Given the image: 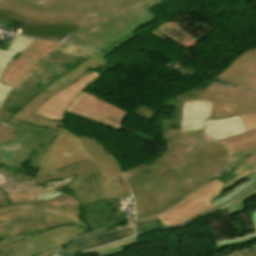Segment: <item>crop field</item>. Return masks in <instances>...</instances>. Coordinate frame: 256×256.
<instances>
[{
    "label": "crop field",
    "mask_w": 256,
    "mask_h": 256,
    "mask_svg": "<svg viewBox=\"0 0 256 256\" xmlns=\"http://www.w3.org/2000/svg\"><path fill=\"white\" fill-rule=\"evenodd\" d=\"M79 139L93 160L36 176L38 181H50L77 175L67 188L77 197L64 193L52 200L35 201V193L3 195L0 188V238L61 224H76L95 231L126 222L117 205L131 193L120 167L95 140Z\"/></svg>",
    "instance_id": "crop-field-1"
},
{
    "label": "crop field",
    "mask_w": 256,
    "mask_h": 256,
    "mask_svg": "<svg viewBox=\"0 0 256 256\" xmlns=\"http://www.w3.org/2000/svg\"><path fill=\"white\" fill-rule=\"evenodd\" d=\"M163 0H147L142 4L104 21L92 30L62 24L40 22L34 19L0 11V17L25 23L20 35L76 44L85 47H99L103 54L110 46L134 33L139 27L157 19L150 11Z\"/></svg>",
    "instance_id": "crop-field-2"
},
{
    "label": "crop field",
    "mask_w": 256,
    "mask_h": 256,
    "mask_svg": "<svg viewBox=\"0 0 256 256\" xmlns=\"http://www.w3.org/2000/svg\"><path fill=\"white\" fill-rule=\"evenodd\" d=\"M145 0H2L0 10L40 21L93 29L105 19Z\"/></svg>",
    "instance_id": "crop-field-3"
},
{
    "label": "crop field",
    "mask_w": 256,
    "mask_h": 256,
    "mask_svg": "<svg viewBox=\"0 0 256 256\" xmlns=\"http://www.w3.org/2000/svg\"><path fill=\"white\" fill-rule=\"evenodd\" d=\"M97 48H79L61 44L49 56L31 69L7 96L0 109V142L10 140L15 129L6 122L24 105L60 76L93 56ZM37 75L36 77L34 75Z\"/></svg>",
    "instance_id": "crop-field-4"
},
{
    "label": "crop field",
    "mask_w": 256,
    "mask_h": 256,
    "mask_svg": "<svg viewBox=\"0 0 256 256\" xmlns=\"http://www.w3.org/2000/svg\"><path fill=\"white\" fill-rule=\"evenodd\" d=\"M124 175L134 194L137 219L165 211L200 185L196 181L189 185L176 172L154 163H144Z\"/></svg>",
    "instance_id": "crop-field-5"
},
{
    "label": "crop field",
    "mask_w": 256,
    "mask_h": 256,
    "mask_svg": "<svg viewBox=\"0 0 256 256\" xmlns=\"http://www.w3.org/2000/svg\"><path fill=\"white\" fill-rule=\"evenodd\" d=\"M166 104L183 109L180 137H187L190 149L246 132L239 116L209 119L212 104L204 100L201 88L177 95Z\"/></svg>",
    "instance_id": "crop-field-6"
},
{
    "label": "crop field",
    "mask_w": 256,
    "mask_h": 256,
    "mask_svg": "<svg viewBox=\"0 0 256 256\" xmlns=\"http://www.w3.org/2000/svg\"><path fill=\"white\" fill-rule=\"evenodd\" d=\"M163 136L168 150L155 163L176 171L189 184L204 182L233 161L217 142L188 151L190 144L186 137L179 138V130L163 129Z\"/></svg>",
    "instance_id": "crop-field-7"
},
{
    "label": "crop field",
    "mask_w": 256,
    "mask_h": 256,
    "mask_svg": "<svg viewBox=\"0 0 256 256\" xmlns=\"http://www.w3.org/2000/svg\"><path fill=\"white\" fill-rule=\"evenodd\" d=\"M7 123L12 128H17V130L11 141L0 143V164L4 163L7 167L23 170L21 166H24L23 163L26 161L36 171L37 165L40 163L52 140L62 132L17 121L12 118Z\"/></svg>",
    "instance_id": "crop-field-8"
},
{
    "label": "crop field",
    "mask_w": 256,
    "mask_h": 256,
    "mask_svg": "<svg viewBox=\"0 0 256 256\" xmlns=\"http://www.w3.org/2000/svg\"><path fill=\"white\" fill-rule=\"evenodd\" d=\"M222 186L223 183L213 180L194 190L157 217L165 226H174L187 222L205 211L217 208L211 200L226 193ZM189 198L191 200H188Z\"/></svg>",
    "instance_id": "crop-field-9"
},
{
    "label": "crop field",
    "mask_w": 256,
    "mask_h": 256,
    "mask_svg": "<svg viewBox=\"0 0 256 256\" xmlns=\"http://www.w3.org/2000/svg\"><path fill=\"white\" fill-rule=\"evenodd\" d=\"M202 90L205 99L213 103L210 118L256 113V91L213 84Z\"/></svg>",
    "instance_id": "crop-field-10"
},
{
    "label": "crop field",
    "mask_w": 256,
    "mask_h": 256,
    "mask_svg": "<svg viewBox=\"0 0 256 256\" xmlns=\"http://www.w3.org/2000/svg\"><path fill=\"white\" fill-rule=\"evenodd\" d=\"M88 232L92 231L76 225L60 226L41 232L44 236L26 239L15 244L8 238L0 239V256H34L52 246L58 250L77 236Z\"/></svg>",
    "instance_id": "crop-field-11"
},
{
    "label": "crop field",
    "mask_w": 256,
    "mask_h": 256,
    "mask_svg": "<svg viewBox=\"0 0 256 256\" xmlns=\"http://www.w3.org/2000/svg\"><path fill=\"white\" fill-rule=\"evenodd\" d=\"M90 159L79 139L65 131L53 140L35 174L43 175Z\"/></svg>",
    "instance_id": "crop-field-12"
},
{
    "label": "crop field",
    "mask_w": 256,
    "mask_h": 256,
    "mask_svg": "<svg viewBox=\"0 0 256 256\" xmlns=\"http://www.w3.org/2000/svg\"><path fill=\"white\" fill-rule=\"evenodd\" d=\"M0 174L6 177L7 182L2 187L5 192H36V200H47L59 194L67 192L64 186H68L75 176L51 182H37L35 175L18 169H0Z\"/></svg>",
    "instance_id": "crop-field-13"
},
{
    "label": "crop field",
    "mask_w": 256,
    "mask_h": 256,
    "mask_svg": "<svg viewBox=\"0 0 256 256\" xmlns=\"http://www.w3.org/2000/svg\"><path fill=\"white\" fill-rule=\"evenodd\" d=\"M67 113L120 130L128 112L83 92Z\"/></svg>",
    "instance_id": "crop-field-14"
},
{
    "label": "crop field",
    "mask_w": 256,
    "mask_h": 256,
    "mask_svg": "<svg viewBox=\"0 0 256 256\" xmlns=\"http://www.w3.org/2000/svg\"><path fill=\"white\" fill-rule=\"evenodd\" d=\"M59 43L37 40L24 49L5 70L1 82L13 86L40 60L47 57L54 49L59 47Z\"/></svg>",
    "instance_id": "crop-field-15"
},
{
    "label": "crop field",
    "mask_w": 256,
    "mask_h": 256,
    "mask_svg": "<svg viewBox=\"0 0 256 256\" xmlns=\"http://www.w3.org/2000/svg\"><path fill=\"white\" fill-rule=\"evenodd\" d=\"M214 79L256 90V48L237 55Z\"/></svg>",
    "instance_id": "crop-field-16"
},
{
    "label": "crop field",
    "mask_w": 256,
    "mask_h": 256,
    "mask_svg": "<svg viewBox=\"0 0 256 256\" xmlns=\"http://www.w3.org/2000/svg\"><path fill=\"white\" fill-rule=\"evenodd\" d=\"M99 76L100 75H98L96 72H93L83 77L76 83L46 100L45 103L35 112V114L62 122L63 114L70 102Z\"/></svg>",
    "instance_id": "crop-field-17"
},
{
    "label": "crop field",
    "mask_w": 256,
    "mask_h": 256,
    "mask_svg": "<svg viewBox=\"0 0 256 256\" xmlns=\"http://www.w3.org/2000/svg\"><path fill=\"white\" fill-rule=\"evenodd\" d=\"M92 71L93 70L83 74L81 77L87 75L88 73H90ZM81 77H78L74 81L66 84L65 86L60 87L59 89H57V90H55V91H53L49 94L46 93L45 91L42 92L41 94L34 97L31 101H29L25 105V107L21 111L17 112L12 118L22 120V121H25V122H29V123H33V124H36V125L44 126V127L50 128V129H56V130L63 131L61 122L54 121V120H51V119H48V118H45V117L36 116V115H33V114L37 110V108L39 106H41L47 98H49L53 94L57 93L59 90H63L67 86L76 82Z\"/></svg>",
    "instance_id": "crop-field-18"
},
{
    "label": "crop field",
    "mask_w": 256,
    "mask_h": 256,
    "mask_svg": "<svg viewBox=\"0 0 256 256\" xmlns=\"http://www.w3.org/2000/svg\"><path fill=\"white\" fill-rule=\"evenodd\" d=\"M133 234H135V232L133 231V228L124 229V230L95 232V233L87 234L66 245L56 255L62 254V253L80 251V250L89 248L91 246H97L107 241L114 240V239L128 236V235H133Z\"/></svg>",
    "instance_id": "crop-field-19"
},
{
    "label": "crop field",
    "mask_w": 256,
    "mask_h": 256,
    "mask_svg": "<svg viewBox=\"0 0 256 256\" xmlns=\"http://www.w3.org/2000/svg\"><path fill=\"white\" fill-rule=\"evenodd\" d=\"M107 64H110L108 62H105L102 57L100 52L95 54L93 57L82 63L80 66H78L76 69L73 71L69 72L65 76L57 79L55 82L51 83L45 91L48 93L54 89L59 88L60 86L70 82L71 80L77 78L78 76H81L83 73L93 69L96 70L100 67H103Z\"/></svg>",
    "instance_id": "crop-field-20"
},
{
    "label": "crop field",
    "mask_w": 256,
    "mask_h": 256,
    "mask_svg": "<svg viewBox=\"0 0 256 256\" xmlns=\"http://www.w3.org/2000/svg\"><path fill=\"white\" fill-rule=\"evenodd\" d=\"M230 155L256 146V131L219 142Z\"/></svg>",
    "instance_id": "crop-field-21"
},
{
    "label": "crop field",
    "mask_w": 256,
    "mask_h": 256,
    "mask_svg": "<svg viewBox=\"0 0 256 256\" xmlns=\"http://www.w3.org/2000/svg\"><path fill=\"white\" fill-rule=\"evenodd\" d=\"M137 243V237L135 238H131L128 240H124V241H120L117 243H113L110 245H107L105 247L96 249V250H92L86 253H81V254H77L74 256H81L84 254H88V253H94V252H98L100 256H109L112 254H116V253H120L123 252L124 250H126L129 246L136 244Z\"/></svg>",
    "instance_id": "crop-field-22"
},
{
    "label": "crop field",
    "mask_w": 256,
    "mask_h": 256,
    "mask_svg": "<svg viewBox=\"0 0 256 256\" xmlns=\"http://www.w3.org/2000/svg\"><path fill=\"white\" fill-rule=\"evenodd\" d=\"M248 181L231 189L230 191H228L227 194L213 200V202L215 203V205L221 206L222 204L230 201L231 199H233L234 197H236L238 194H240L243 190L253 186L256 184V173L248 178H246Z\"/></svg>",
    "instance_id": "crop-field-23"
},
{
    "label": "crop field",
    "mask_w": 256,
    "mask_h": 256,
    "mask_svg": "<svg viewBox=\"0 0 256 256\" xmlns=\"http://www.w3.org/2000/svg\"><path fill=\"white\" fill-rule=\"evenodd\" d=\"M254 164H256V152L250 155L243 156L240 159L236 169L232 172V174L221 182L225 183L233 179L234 177H236L237 175H239L249 167L253 166Z\"/></svg>",
    "instance_id": "crop-field-24"
},
{
    "label": "crop field",
    "mask_w": 256,
    "mask_h": 256,
    "mask_svg": "<svg viewBox=\"0 0 256 256\" xmlns=\"http://www.w3.org/2000/svg\"><path fill=\"white\" fill-rule=\"evenodd\" d=\"M252 197H256V188L250 190L249 192H247L246 194H244L242 197H240L239 199H237L235 202L221 208L218 210V212L228 208L230 215H234L237 213H240L244 210V205L243 202L252 198Z\"/></svg>",
    "instance_id": "crop-field-25"
},
{
    "label": "crop field",
    "mask_w": 256,
    "mask_h": 256,
    "mask_svg": "<svg viewBox=\"0 0 256 256\" xmlns=\"http://www.w3.org/2000/svg\"><path fill=\"white\" fill-rule=\"evenodd\" d=\"M241 118L248 131L256 129V114L241 115Z\"/></svg>",
    "instance_id": "crop-field-26"
},
{
    "label": "crop field",
    "mask_w": 256,
    "mask_h": 256,
    "mask_svg": "<svg viewBox=\"0 0 256 256\" xmlns=\"http://www.w3.org/2000/svg\"><path fill=\"white\" fill-rule=\"evenodd\" d=\"M254 235H255V233L251 234L247 237L234 238V239H229V240H225V241L216 242L215 245H216V247H218V246H222V245H226V244H231V243H235V242L248 240V239H251Z\"/></svg>",
    "instance_id": "crop-field-27"
},
{
    "label": "crop field",
    "mask_w": 256,
    "mask_h": 256,
    "mask_svg": "<svg viewBox=\"0 0 256 256\" xmlns=\"http://www.w3.org/2000/svg\"><path fill=\"white\" fill-rule=\"evenodd\" d=\"M139 32H136L132 35H130L129 37L125 38L124 40L120 41L119 43L115 44L114 46L110 47L104 54L103 56H106L108 53H110L111 51H113L114 49H116L117 47H119L120 45L124 44L125 42H127L128 40H130L131 38L135 37L136 35H138Z\"/></svg>",
    "instance_id": "crop-field-28"
},
{
    "label": "crop field",
    "mask_w": 256,
    "mask_h": 256,
    "mask_svg": "<svg viewBox=\"0 0 256 256\" xmlns=\"http://www.w3.org/2000/svg\"><path fill=\"white\" fill-rule=\"evenodd\" d=\"M40 233H33V234H28V235H23V236H17V237H11L10 240H12L14 243L29 237H34V236H39Z\"/></svg>",
    "instance_id": "crop-field-29"
},
{
    "label": "crop field",
    "mask_w": 256,
    "mask_h": 256,
    "mask_svg": "<svg viewBox=\"0 0 256 256\" xmlns=\"http://www.w3.org/2000/svg\"><path fill=\"white\" fill-rule=\"evenodd\" d=\"M118 65H119V64L112 63V64H110V65H107V66H105V67H103V68H100V69L96 70V72L101 75V74L105 73L106 71H108V70H110V69H112V68H114V67H116V66H118Z\"/></svg>",
    "instance_id": "crop-field-30"
},
{
    "label": "crop field",
    "mask_w": 256,
    "mask_h": 256,
    "mask_svg": "<svg viewBox=\"0 0 256 256\" xmlns=\"http://www.w3.org/2000/svg\"><path fill=\"white\" fill-rule=\"evenodd\" d=\"M157 217L154 216L152 218H147V219H141V220H137L136 221V226L137 225H141V224H145V223H149V222H153V221H157Z\"/></svg>",
    "instance_id": "crop-field-31"
},
{
    "label": "crop field",
    "mask_w": 256,
    "mask_h": 256,
    "mask_svg": "<svg viewBox=\"0 0 256 256\" xmlns=\"http://www.w3.org/2000/svg\"><path fill=\"white\" fill-rule=\"evenodd\" d=\"M56 251H57L56 248L53 247V248L48 249V250H46V251H44V252H42V253H40V254H38L36 256H50V255H52Z\"/></svg>",
    "instance_id": "crop-field-32"
},
{
    "label": "crop field",
    "mask_w": 256,
    "mask_h": 256,
    "mask_svg": "<svg viewBox=\"0 0 256 256\" xmlns=\"http://www.w3.org/2000/svg\"><path fill=\"white\" fill-rule=\"evenodd\" d=\"M254 150H256V147H253V148H251V149H249L247 151H244V152H241V153H238V154H234V155H232V157L233 158H238V157L243 156V155H245L247 153H250V152H252Z\"/></svg>",
    "instance_id": "crop-field-33"
},
{
    "label": "crop field",
    "mask_w": 256,
    "mask_h": 256,
    "mask_svg": "<svg viewBox=\"0 0 256 256\" xmlns=\"http://www.w3.org/2000/svg\"><path fill=\"white\" fill-rule=\"evenodd\" d=\"M250 215H251V219H252L254 231H255V233H256V211L250 213Z\"/></svg>",
    "instance_id": "crop-field-34"
},
{
    "label": "crop field",
    "mask_w": 256,
    "mask_h": 256,
    "mask_svg": "<svg viewBox=\"0 0 256 256\" xmlns=\"http://www.w3.org/2000/svg\"><path fill=\"white\" fill-rule=\"evenodd\" d=\"M228 256H241V255L239 254L238 251H235V252L229 254Z\"/></svg>",
    "instance_id": "crop-field-35"
},
{
    "label": "crop field",
    "mask_w": 256,
    "mask_h": 256,
    "mask_svg": "<svg viewBox=\"0 0 256 256\" xmlns=\"http://www.w3.org/2000/svg\"><path fill=\"white\" fill-rule=\"evenodd\" d=\"M4 179H5V177L0 175V185L3 184Z\"/></svg>",
    "instance_id": "crop-field-36"
},
{
    "label": "crop field",
    "mask_w": 256,
    "mask_h": 256,
    "mask_svg": "<svg viewBox=\"0 0 256 256\" xmlns=\"http://www.w3.org/2000/svg\"><path fill=\"white\" fill-rule=\"evenodd\" d=\"M36 1L40 2L41 0H36Z\"/></svg>",
    "instance_id": "crop-field-37"
}]
</instances>
